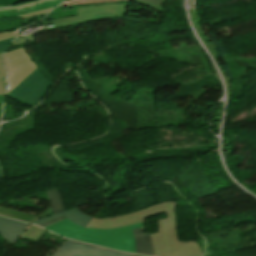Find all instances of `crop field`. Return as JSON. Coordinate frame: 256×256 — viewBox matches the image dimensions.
I'll return each mask as SVG.
<instances>
[{
    "label": "crop field",
    "mask_w": 256,
    "mask_h": 256,
    "mask_svg": "<svg viewBox=\"0 0 256 256\" xmlns=\"http://www.w3.org/2000/svg\"><path fill=\"white\" fill-rule=\"evenodd\" d=\"M176 206V202L169 201L113 218H92L86 227L100 229L119 228L143 222L144 217L165 212L168 217L159 220V234L151 235L155 256L203 255L196 242H179L175 232V216L173 212Z\"/></svg>",
    "instance_id": "obj_1"
},
{
    "label": "crop field",
    "mask_w": 256,
    "mask_h": 256,
    "mask_svg": "<svg viewBox=\"0 0 256 256\" xmlns=\"http://www.w3.org/2000/svg\"><path fill=\"white\" fill-rule=\"evenodd\" d=\"M139 227H143V223L111 230L90 229L75 225L65 218L44 228L68 238L135 253L131 229Z\"/></svg>",
    "instance_id": "obj_2"
},
{
    "label": "crop field",
    "mask_w": 256,
    "mask_h": 256,
    "mask_svg": "<svg viewBox=\"0 0 256 256\" xmlns=\"http://www.w3.org/2000/svg\"><path fill=\"white\" fill-rule=\"evenodd\" d=\"M126 6L127 5L124 4H110L78 8L76 9L78 16L45 21L41 22L38 25L56 24L55 27L47 29L50 30L54 28L73 26L96 20L120 18L124 17V15L126 14Z\"/></svg>",
    "instance_id": "obj_3"
},
{
    "label": "crop field",
    "mask_w": 256,
    "mask_h": 256,
    "mask_svg": "<svg viewBox=\"0 0 256 256\" xmlns=\"http://www.w3.org/2000/svg\"><path fill=\"white\" fill-rule=\"evenodd\" d=\"M49 87V82L38 68L26 79L14 87L6 96L31 107L40 101Z\"/></svg>",
    "instance_id": "obj_4"
},
{
    "label": "crop field",
    "mask_w": 256,
    "mask_h": 256,
    "mask_svg": "<svg viewBox=\"0 0 256 256\" xmlns=\"http://www.w3.org/2000/svg\"><path fill=\"white\" fill-rule=\"evenodd\" d=\"M3 62L8 71L6 94L37 67L23 48L6 53Z\"/></svg>",
    "instance_id": "obj_5"
},
{
    "label": "crop field",
    "mask_w": 256,
    "mask_h": 256,
    "mask_svg": "<svg viewBox=\"0 0 256 256\" xmlns=\"http://www.w3.org/2000/svg\"><path fill=\"white\" fill-rule=\"evenodd\" d=\"M52 256H135L67 239Z\"/></svg>",
    "instance_id": "obj_6"
},
{
    "label": "crop field",
    "mask_w": 256,
    "mask_h": 256,
    "mask_svg": "<svg viewBox=\"0 0 256 256\" xmlns=\"http://www.w3.org/2000/svg\"><path fill=\"white\" fill-rule=\"evenodd\" d=\"M28 227L29 224L0 217V236L12 245Z\"/></svg>",
    "instance_id": "obj_7"
},
{
    "label": "crop field",
    "mask_w": 256,
    "mask_h": 256,
    "mask_svg": "<svg viewBox=\"0 0 256 256\" xmlns=\"http://www.w3.org/2000/svg\"><path fill=\"white\" fill-rule=\"evenodd\" d=\"M62 215H65L73 223L79 224L83 227H85L87 225V223L89 222V220L92 218V217H89V216H86V215L82 214L79 211L78 208H74V209H71V210L63 211V212H61L57 215H52V216H49V217H46L44 219H41V220H38V221H35V222H31V223L39 225L43 222H46L48 220H51L53 218H56V217H59V216H62Z\"/></svg>",
    "instance_id": "obj_8"
},
{
    "label": "crop field",
    "mask_w": 256,
    "mask_h": 256,
    "mask_svg": "<svg viewBox=\"0 0 256 256\" xmlns=\"http://www.w3.org/2000/svg\"><path fill=\"white\" fill-rule=\"evenodd\" d=\"M132 231L135 238L136 253L154 256L150 235L143 233V228Z\"/></svg>",
    "instance_id": "obj_9"
},
{
    "label": "crop field",
    "mask_w": 256,
    "mask_h": 256,
    "mask_svg": "<svg viewBox=\"0 0 256 256\" xmlns=\"http://www.w3.org/2000/svg\"><path fill=\"white\" fill-rule=\"evenodd\" d=\"M46 192H47L48 199L54 214H57L65 210L62 195L60 194V192L56 187L50 190H47Z\"/></svg>",
    "instance_id": "obj_10"
},
{
    "label": "crop field",
    "mask_w": 256,
    "mask_h": 256,
    "mask_svg": "<svg viewBox=\"0 0 256 256\" xmlns=\"http://www.w3.org/2000/svg\"><path fill=\"white\" fill-rule=\"evenodd\" d=\"M43 229V228H42ZM36 226L30 225V227L28 228L27 231H25L20 238L23 239H28V240H32V241H37L39 242V240L42 238V236L45 234L46 231L42 230Z\"/></svg>",
    "instance_id": "obj_11"
},
{
    "label": "crop field",
    "mask_w": 256,
    "mask_h": 256,
    "mask_svg": "<svg viewBox=\"0 0 256 256\" xmlns=\"http://www.w3.org/2000/svg\"><path fill=\"white\" fill-rule=\"evenodd\" d=\"M0 215H4L7 217H11V218L26 221V222H30L32 220L38 219V218L29 216V215H26L23 213H19V212H16V211H13V210H10L7 208H3V207H0Z\"/></svg>",
    "instance_id": "obj_12"
},
{
    "label": "crop field",
    "mask_w": 256,
    "mask_h": 256,
    "mask_svg": "<svg viewBox=\"0 0 256 256\" xmlns=\"http://www.w3.org/2000/svg\"><path fill=\"white\" fill-rule=\"evenodd\" d=\"M131 1H135V2H138V3L153 7L155 9L163 12L162 5L167 0H131Z\"/></svg>",
    "instance_id": "obj_13"
},
{
    "label": "crop field",
    "mask_w": 256,
    "mask_h": 256,
    "mask_svg": "<svg viewBox=\"0 0 256 256\" xmlns=\"http://www.w3.org/2000/svg\"><path fill=\"white\" fill-rule=\"evenodd\" d=\"M4 52L0 53V96L4 97L5 93V79H6V71L2 65L1 56Z\"/></svg>",
    "instance_id": "obj_14"
},
{
    "label": "crop field",
    "mask_w": 256,
    "mask_h": 256,
    "mask_svg": "<svg viewBox=\"0 0 256 256\" xmlns=\"http://www.w3.org/2000/svg\"><path fill=\"white\" fill-rule=\"evenodd\" d=\"M35 41L33 35L25 36V37H20L17 38L16 40L13 41L11 46H16L24 43H29Z\"/></svg>",
    "instance_id": "obj_15"
},
{
    "label": "crop field",
    "mask_w": 256,
    "mask_h": 256,
    "mask_svg": "<svg viewBox=\"0 0 256 256\" xmlns=\"http://www.w3.org/2000/svg\"><path fill=\"white\" fill-rule=\"evenodd\" d=\"M49 1H54V0H43V1L35 2V3L25 4V5H23V6H18V7L0 8V10H10V9L19 10V9H23V8H26V7H31V6H34V5H37V4H42V3H45V2H49Z\"/></svg>",
    "instance_id": "obj_16"
},
{
    "label": "crop field",
    "mask_w": 256,
    "mask_h": 256,
    "mask_svg": "<svg viewBox=\"0 0 256 256\" xmlns=\"http://www.w3.org/2000/svg\"><path fill=\"white\" fill-rule=\"evenodd\" d=\"M52 9L53 8H48V9H43V10L36 11V12H33V13L20 15V19L27 18V17H32V16H36V15H40V14H44V13L50 12Z\"/></svg>",
    "instance_id": "obj_17"
},
{
    "label": "crop field",
    "mask_w": 256,
    "mask_h": 256,
    "mask_svg": "<svg viewBox=\"0 0 256 256\" xmlns=\"http://www.w3.org/2000/svg\"><path fill=\"white\" fill-rule=\"evenodd\" d=\"M15 36H19L18 33H16V30L5 31L3 33H0V40L15 37Z\"/></svg>",
    "instance_id": "obj_18"
},
{
    "label": "crop field",
    "mask_w": 256,
    "mask_h": 256,
    "mask_svg": "<svg viewBox=\"0 0 256 256\" xmlns=\"http://www.w3.org/2000/svg\"><path fill=\"white\" fill-rule=\"evenodd\" d=\"M12 39H13V38L0 41V52L7 49L8 45H9V43L11 42Z\"/></svg>",
    "instance_id": "obj_19"
},
{
    "label": "crop field",
    "mask_w": 256,
    "mask_h": 256,
    "mask_svg": "<svg viewBox=\"0 0 256 256\" xmlns=\"http://www.w3.org/2000/svg\"><path fill=\"white\" fill-rule=\"evenodd\" d=\"M63 218H65V217L62 216V217L56 218V219H54V220L48 221V222H46V223H44V224H41V225H39V226L44 227V226H46V225H48V224H51V223L56 222V221H58V220H60V219H63Z\"/></svg>",
    "instance_id": "obj_20"
}]
</instances>
